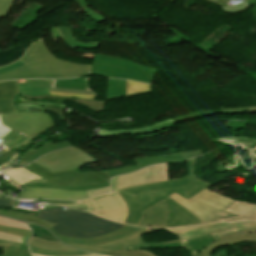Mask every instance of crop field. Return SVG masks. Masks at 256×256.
Instances as JSON below:
<instances>
[{"label":"crop field","mask_w":256,"mask_h":256,"mask_svg":"<svg viewBox=\"0 0 256 256\" xmlns=\"http://www.w3.org/2000/svg\"><path fill=\"white\" fill-rule=\"evenodd\" d=\"M205 189L206 187L184 176L169 181L138 185L120 190L118 192L124 198L128 208V215L124 223L138 226L143 218L144 211L165 200L169 210L165 224L148 227H177L203 224L204 222L198 219L191 211L173 201L174 199L172 200L169 196L176 193L189 200Z\"/></svg>","instance_id":"obj_1"},{"label":"crop field","mask_w":256,"mask_h":256,"mask_svg":"<svg viewBox=\"0 0 256 256\" xmlns=\"http://www.w3.org/2000/svg\"><path fill=\"white\" fill-rule=\"evenodd\" d=\"M0 215L9 217V218H16L22 221L41 224L46 228L50 229L51 232L56 237H58L62 242L72 247H76L85 251L98 252L106 255L149 256L147 254H144L136 250H129L128 247L180 242L179 239H175V240L164 241L159 243H145V241L140 235L146 233V229L148 228H136V227H130V226H126L122 229H119L117 231H114L109 234L96 237V238H88V239L70 238V237L58 236L59 234L57 235V233L51 228L55 224L40 218L19 215L15 213L4 212V211H0Z\"/></svg>","instance_id":"obj_2"},{"label":"crop field","mask_w":256,"mask_h":256,"mask_svg":"<svg viewBox=\"0 0 256 256\" xmlns=\"http://www.w3.org/2000/svg\"><path fill=\"white\" fill-rule=\"evenodd\" d=\"M20 59L29 65L1 75L0 80L18 78H73L89 75L91 71V65L57 59L45 46L42 38L36 41Z\"/></svg>","instance_id":"obj_3"},{"label":"crop field","mask_w":256,"mask_h":256,"mask_svg":"<svg viewBox=\"0 0 256 256\" xmlns=\"http://www.w3.org/2000/svg\"><path fill=\"white\" fill-rule=\"evenodd\" d=\"M95 216L74 209L61 210L59 207L44 210L36 215L57 224L53 229L59 235L71 237H95L126 226Z\"/></svg>","instance_id":"obj_4"},{"label":"crop field","mask_w":256,"mask_h":256,"mask_svg":"<svg viewBox=\"0 0 256 256\" xmlns=\"http://www.w3.org/2000/svg\"><path fill=\"white\" fill-rule=\"evenodd\" d=\"M170 197L191 210L205 223L220 221L225 218L238 217V215L226 211L236 202L235 200L216 194L208 189L189 201L175 194Z\"/></svg>","instance_id":"obj_5"},{"label":"crop field","mask_w":256,"mask_h":256,"mask_svg":"<svg viewBox=\"0 0 256 256\" xmlns=\"http://www.w3.org/2000/svg\"><path fill=\"white\" fill-rule=\"evenodd\" d=\"M157 70L128 60L95 55L91 74L151 83Z\"/></svg>","instance_id":"obj_6"},{"label":"crop field","mask_w":256,"mask_h":256,"mask_svg":"<svg viewBox=\"0 0 256 256\" xmlns=\"http://www.w3.org/2000/svg\"><path fill=\"white\" fill-rule=\"evenodd\" d=\"M84 203L68 204L64 206L82 208L87 207V210L101 217L123 223L127 208L118 192L95 196L83 201ZM62 205V204H59Z\"/></svg>","instance_id":"obj_7"},{"label":"crop field","mask_w":256,"mask_h":256,"mask_svg":"<svg viewBox=\"0 0 256 256\" xmlns=\"http://www.w3.org/2000/svg\"><path fill=\"white\" fill-rule=\"evenodd\" d=\"M25 168L39 174L41 177L45 179V181H29V182H50L61 184L65 186H79V185H87L99 182H107L110 180L105 171L102 172H85V173H77L74 169L52 173L34 163H31ZM24 186V185H23ZM22 186V187H23Z\"/></svg>","instance_id":"obj_8"},{"label":"crop field","mask_w":256,"mask_h":256,"mask_svg":"<svg viewBox=\"0 0 256 256\" xmlns=\"http://www.w3.org/2000/svg\"><path fill=\"white\" fill-rule=\"evenodd\" d=\"M179 236L181 241L216 233L221 237L232 236L240 233L256 232V221L236 223H212L201 226L167 229Z\"/></svg>","instance_id":"obj_9"},{"label":"crop field","mask_w":256,"mask_h":256,"mask_svg":"<svg viewBox=\"0 0 256 256\" xmlns=\"http://www.w3.org/2000/svg\"><path fill=\"white\" fill-rule=\"evenodd\" d=\"M97 162L92 156L84 151L70 147L61 151L45 155L34 163L43 166L53 172L63 171L74 168L79 172L80 166Z\"/></svg>","instance_id":"obj_10"},{"label":"crop field","mask_w":256,"mask_h":256,"mask_svg":"<svg viewBox=\"0 0 256 256\" xmlns=\"http://www.w3.org/2000/svg\"><path fill=\"white\" fill-rule=\"evenodd\" d=\"M1 116L3 124L33 139L46 129L53 127V121L46 113L31 114L22 112Z\"/></svg>","instance_id":"obj_11"},{"label":"crop field","mask_w":256,"mask_h":256,"mask_svg":"<svg viewBox=\"0 0 256 256\" xmlns=\"http://www.w3.org/2000/svg\"><path fill=\"white\" fill-rule=\"evenodd\" d=\"M168 165L159 164L146 167L136 173L112 178V191L132 185L168 180Z\"/></svg>","instance_id":"obj_12"},{"label":"crop field","mask_w":256,"mask_h":256,"mask_svg":"<svg viewBox=\"0 0 256 256\" xmlns=\"http://www.w3.org/2000/svg\"><path fill=\"white\" fill-rule=\"evenodd\" d=\"M202 154L203 153L201 150H196V151H189V152L166 155V156L139 158V159H134L137 164L136 166H128L124 168H117L114 170H106V172L110 176V178H112L116 175L129 173V172L138 170L144 166H149L151 164L165 163V162H182L191 157L199 156Z\"/></svg>","instance_id":"obj_13"},{"label":"crop field","mask_w":256,"mask_h":256,"mask_svg":"<svg viewBox=\"0 0 256 256\" xmlns=\"http://www.w3.org/2000/svg\"><path fill=\"white\" fill-rule=\"evenodd\" d=\"M18 198L77 200L87 198L85 191H68L53 188L21 189Z\"/></svg>","instance_id":"obj_14"},{"label":"crop field","mask_w":256,"mask_h":256,"mask_svg":"<svg viewBox=\"0 0 256 256\" xmlns=\"http://www.w3.org/2000/svg\"><path fill=\"white\" fill-rule=\"evenodd\" d=\"M20 94L15 96L13 101V104L17 108L18 112L28 111L31 113H39L50 111L56 113L62 121H66L64 114L65 106L63 104L41 103L33 100H28L22 98Z\"/></svg>","instance_id":"obj_15"},{"label":"crop field","mask_w":256,"mask_h":256,"mask_svg":"<svg viewBox=\"0 0 256 256\" xmlns=\"http://www.w3.org/2000/svg\"><path fill=\"white\" fill-rule=\"evenodd\" d=\"M17 81L0 82V114H8L17 112L12 101L18 94Z\"/></svg>","instance_id":"obj_16"},{"label":"crop field","mask_w":256,"mask_h":256,"mask_svg":"<svg viewBox=\"0 0 256 256\" xmlns=\"http://www.w3.org/2000/svg\"><path fill=\"white\" fill-rule=\"evenodd\" d=\"M174 126L172 118L157 122L151 126L134 129V130H98L99 135H138L164 131Z\"/></svg>","instance_id":"obj_17"},{"label":"crop field","mask_w":256,"mask_h":256,"mask_svg":"<svg viewBox=\"0 0 256 256\" xmlns=\"http://www.w3.org/2000/svg\"><path fill=\"white\" fill-rule=\"evenodd\" d=\"M71 144L69 143L68 140L63 141V142H58L56 144H53L51 142H46L44 143L39 149L34 150V149H29L27 153L22 157V159L15 165V166H21L30 163L31 161L37 159L41 155L51 152V151H56L65 147H69Z\"/></svg>","instance_id":"obj_18"},{"label":"crop field","mask_w":256,"mask_h":256,"mask_svg":"<svg viewBox=\"0 0 256 256\" xmlns=\"http://www.w3.org/2000/svg\"><path fill=\"white\" fill-rule=\"evenodd\" d=\"M242 242H256V233L240 234L232 237L222 238L214 241L211 245L192 256H210L211 251L224 244H235Z\"/></svg>","instance_id":"obj_19"},{"label":"crop field","mask_w":256,"mask_h":256,"mask_svg":"<svg viewBox=\"0 0 256 256\" xmlns=\"http://www.w3.org/2000/svg\"><path fill=\"white\" fill-rule=\"evenodd\" d=\"M167 212L166 203L163 201L144 212L145 216L139 226L163 224L167 217Z\"/></svg>","instance_id":"obj_20"},{"label":"crop field","mask_w":256,"mask_h":256,"mask_svg":"<svg viewBox=\"0 0 256 256\" xmlns=\"http://www.w3.org/2000/svg\"><path fill=\"white\" fill-rule=\"evenodd\" d=\"M21 96H23L25 98L41 101V102L64 103V102L56 101L55 99L73 100L77 103L86 105L87 107L93 109L95 112H104L105 101L65 98V97H56V96H24V95H21Z\"/></svg>","instance_id":"obj_21"},{"label":"crop field","mask_w":256,"mask_h":256,"mask_svg":"<svg viewBox=\"0 0 256 256\" xmlns=\"http://www.w3.org/2000/svg\"><path fill=\"white\" fill-rule=\"evenodd\" d=\"M228 211L239 214L243 217L225 219L221 221L256 220V205L237 201Z\"/></svg>","instance_id":"obj_22"},{"label":"crop field","mask_w":256,"mask_h":256,"mask_svg":"<svg viewBox=\"0 0 256 256\" xmlns=\"http://www.w3.org/2000/svg\"><path fill=\"white\" fill-rule=\"evenodd\" d=\"M31 232L27 230L15 229L0 226V239L12 242L23 243L30 237Z\"/></svg>","instance_id":"obj_23"},{"label":"crop field","mask_w":256,"mask_h":256,"mask_svg":"<svg viewBox=\"0 0 256 256\" xmlns=\"http://www.w3.org/2000/svg\"><path fill=\"white\" fill-rule=\"evenodd\" d=\"M2 173L7 175L8 177L12 178L13 180H15L21 186L29 180H44L40 176L22 168V167L9 169Z\"/></svg>","instance_id":"obj_24"},{"label":"crop field","mask_w":256,"mask_h":256,"mask_svg":"<svg viewBox=\"0 0 256 256\" xmlns=\"http://www.w3.org/2000/svg\"><path fill=\"white\" fill-rule=\"evenodd\" d=\"M89 80L90 78L51 80V87L91 90Z\"/></svg>","instance_id":"obj_25"},{"label":"crop field","mask_w":256,"mask_h":256,"mask_svg":"<svg viewBox=\"0 0 256 256\" xmlns=\"http://www.w3.org/2000/svg\"><path fill=\"white\" fill-rule=\"evenodd\" d=\"M19 91L25 95H48L50 83H18Z\"/></svg>","instance_id":"obj_26"},{"label":"crop field","mask_w":256,"mask_h":256,"mask_svg":"<svg viewBox=\"0 0 256 256\" xmlns=\"http://www.w3.org/2000/svg\"><path fill=\"white\" fill-rule=\"evenodd\" d=\"M126 80L108 79L105 100L124 97Z\"/></svg>","instance_id":"obj_27"},{"label":"crop field","mask_w":256,"mask_h":256,"mask_svg":"<svg viewBox=\"0 0 256 256\" xmlns=\"http://www.w3.org/2000/svg\"><path fill=\"white\" fill-rule=\"evenodd\" d=\"M217 239L219 238L214 233L211 235L184 241L183 244L193 254L202 250L205 246H207L208 244L212 243L214 240Z\"/></svg>","instance_id":"obj_28"},{"label":"crop field","mask_w":256,"mask_h":256,"mask_svg":"<svg viewBox=\"0 0 256 256\" xmlns=\"http://www.w3.org/2000/svg\"><path fill=\"white\" fill-rule=\"evenodd\" d=\"M26 49L27 46L19 43L7 51L0 52V66H4L16 61L21 55H23Z\"/></svg>","instance_id":"obj_29"},{"label":"crop field","mask_w":256,"mask_h":256,"mask_svg":"<svg viewBox=\"0 0 256 256\" xmlns=\"http://www.w3.org/2000/svg\"><path fill=\"white\" fill-rule=\"evenodd\" d=\"M29 244L37 247V248H43V249H50V250H56V251H73L77 249L70 248L61 242H51V241H46L43 239H39L35 236H32Z\"/></svg>","instance_id":"obj_30"},{"label":"crop field","mask_w":256,"mask_h":256,"mask_svg":"<svg viewBox=\"0 0 256 256\" xmlns=\"http://www.w3.org/2000/svg\"><path fill=\"white\" fill-rule=\"evenodd\" d=\"M107 186H109V182L87 185V186H79V187H64V186L49 184V183H28V184H25V186L23 188H26V187H53V188H61V189H69V190H90V189L102 188V187H107Z\"/></svg>","instance_id":"obj_31"},{"label":"crop field","mask_w":256,"mask_h":256,"mask_svg":"<svg viewBox=\"0 0 256 256\" xmlns=\"http://www.w3.org/2000/svg\"><path fill=\"white\" fill-rule=\"evenodd\" d=\"M60 33L65 43L70 47L97 48L98 44H81L76 41L72 34V29L68 27H59Z\"/></svg>","instance_id":"obj_32"},{"label":"crop field","mask_w":256,"mask_h":256,"mask_svg":"<svg viewBox=\"0 0 256 256\" xmlns=\"http://www.w3.org/2000/svg\"><path fill=\"white\" fill-rule=\"evenodd\" d=\"M152 92L151 84L139 83L127 80L126 95L130 97L141 93Z\"/></svg>","instance_id":"obj_33"},{"label":"crop field","mask_w":256,"mask_h":256,"mask_svg":"<svg viewBox=\"0 0 256 256\" xmlns=\"http://www.w3.org/2000/svg\"><path fill=\"white\" fill-rule=\"evenodd\" d=\"M78 5L84 10V12L97 24L103 23L106 19L103 15L89 8L85 0H75Z\"/></svg>","instance_id":"obj_34"},{"label":"crop field","mask_w":256,"mask_h":256,"mask_svg":"<svg viewBox=\"0 0 256 256\" xmlns=\"http://www.w3.org/2000/svg\"><path fill=\"white\" fill-rule=\"evenodd\" d=\"M30 250L33 252H37L44 255H52V256H75V255H84V254H90L85 251H73V252H56V251H49V250H42L37 249L30 246Z\"/></svg>","instance_id":"obj_35"},{"label":"crop field","mask_w":256,"mask_h":256,"mask_svg":"<svg viewBox=\"0 0 256 256\" xmlns=\"http://www.w3.org/2000/svg\"><path fill=\"white\" fill-rule=\"evenodd\" d=\"M28 224L31 227L34 235H36L40 238L47 239V240L59 241L47 229H45L39 225H34V224H30V223H28Z\"/></svg>","instance_id":"obj_36"},{"label":"crop field","mask_w":256,"mask_h":256,"mask_svg":"<svg viewBox=\"0 0 256 256\" xmlns=\"http://www.w3.org/2000/svg\"><path fill=\"white\" fill-rule=\"evenodd\" d=\"M211 115H215L214 110L207 111V112H196V113H192V114H188V115H182V116L174 117L173 120L175 123H178V122L189 120V119H194V118L204 117V116H211Z\"/></svg>","instance_id":"obj_37"},{"label":"crop field","mask_w":256,"mask_h":256,"mask_svg":"<svg viewBox=\"0 0 256 256\" xmlns=\"http://www.w3.org/2000/svg\"><path fill=\"white\" fill-rule=\"evenodd\" d=\"M0 225H5V226H10V227H16V228H22V229H28L27 224L20 222V221H16L13 219H8V218H2L0 217Z\"/></svg>","instance_id":"obj_38"},{"label":"crop field","mask_w":256,"mask_h":256,"mask_svg":"<svg viewBox=\"0 0 256 256\" xmlns=\"http://www.w3.org/2000/svg\"><path fill=\"white\" fill-rule=\"evenodd\" d=\"M25 65H27V64L19 59L18 61H16L13 64H10V65H8L6 67L0 68V75L3 74V73L9 72V71L18 69L20 67H23Z\"/></svg>","instance_id":"obj_39"},{"label":"crop field","mask_w":256,"mask_h":256,"mask_svg":"<svg viewBox=\"0 0 256 256\" xmlns=\"http://www.w3.org/2000/svg\"><path fill=\"white\" fill-rule=\"evenodd\" d=\"M49 95L86 98V99H95V97H96V95L70 94V93H60V92H50Z\"/></svg>","instance_id":"obj_40"},{"label":"crop field","mask_w":256,"mask_h":256,"mask_svg":"<svg viewBox=\"0 0 256 256\" xmlns=\"http://www.w3.org/2000/svg\"><path fill=\"white\" fill-rule=\"evenodd\" d=\"M19 245L3 243V256H14Z\"/></svg>","instance_id":"obj_41"},{"label":"crop field","mask_w":256,"mask_h":256,"mask_svg":"<svg viewBox=\"0 0 256 256\" xmlns=\"http://www.w3.org/2000/svg\"><path fill=\"white\" fill-rule=\"evenodd\" d=\"M13 0H0V16H5Z\"/></svg>","instance_id":"obj_42"},{"label":"crop field","mask_w":256,"mask_h":256,"mask_svg":"<svg viewBox=\"0 0 256 256\" xmlns=\"http://www.w3.org/2000/svg\"><path fill=\"white\" fill-rule=\"evenodd\" d=\"M249 108H237V109H218L217 113H248Z\"/></svg>","instance_id":"obj_43"},{"label":"crop field","mask_w":256,"mask_h":256,"mask_svg":"<svg viewBox=\"0 0 256 256\" xmlns=\"http://www.w3.org/2000/svg\"><path fill=\"white\" fill-rule=\"evenodd\" d=\"M31 140H32V139L27 136L25 139H23V140H21L20 142L16 143L14 146L9 147V148H7L6 150L0 152V154H3V153H5V152H7V151H9V150H11V149H13V148H15V149L17 150V149H19L21 146L27 144V143H28L29 141H31Z\"/></svg>","instance_id":"obj_44"},{"label":"crop field","mask_w":256,"mask_h":256,"mask_svg":"<svg viewBox=\"0 0 256 256\" xmlns=\"http://www.w3.org/2000/svg\"><path fill=\"white\" fill-rule=\"evenodd\" d=\"M222 8L226 11L237 13V12L244 10L246 8V5L244 3H242V4L236 5V6H229V7H222Z\"/></svg>","instance_id":"obj_45"},{"label":"crop field","mask_w":256,"mask_h":256,"mask_svg":"<svg viewBox=\"0 0 256 256\" xmlns=\"http://www.w3.org/2000/svg\"><path fill=\"white\" fill-rule=\"evenodd\" d=\"M175 247H183L182 243L179 244H167V245H159V246H143V247H134L130 249L136 248H175Z\"/></svg>","instance_id":"obj_46"},{"label":"crop field","mask_w":256,"mask_h":256,"mask_svg":"<svg viewBox=\"0 0 256 256\" xmlns=\"http://www.w3.org/2000/svg\"><path fill=\"white\" fill-rule=\"evenodd\" d=\"M51 91L70 92V93H84V94H96L94 91L69 90V89H57V88H51Z\"/></svg>","instance_id":"obj_47"},{"label":"crop field","mask_w":256,"mask_h":256,"mask_svg":"<svg viewBox=\"0 0 256 256\" xmlns=\"http://www.w3.org/2000/svg\"><path fill=\"white\" fill-rule=\"evenodd\" d=\"M15 256H31L27 249V242L19 247Z\"/></svg>","instance_id":"obj_48"},{"label":"crop field","mask_w":256,"mask_h":256,"mask_svg":"<svg viewBox=\"0 0 256 256\" xmlns=\"http://www.w3.org/2000/svg\"><path fill=\"white\" fill-rule=\"evenodd\" d=\"M109 191H110V187L86 191V192H87V196L89 197V196L98 195V194H102Z\"/></svg>","instance_id":"obj_49"},{"label":"crop field","mask_w":256,"mask_h":256,"mask_svg":"<svg viewBox=\"0 0 256 256\" xmlns=\"http://www.w3.org/2000/svg\"><path fill=\"white\" fill-rule=\"evenodd\" d=\"M12 129L8 128L7 126L2 124L1 117H0V139L9 134Z\"/></svg>","instance_id":"obj_50"},{"label":"crop field","mask_w":256,"mask_h":256,"mask_svg":"<svg viewBox=\"0 0 256 256\" xmlns=\"http://www.w3.org/2000/svg\"><path fill=\"white\" fill-rule=\"evenodd\" d=\"M25 137H26V135L20 134V135L14 137L12 140H10V141L4 143L3 145H4L5 147H9V146L15 144L16 142L20 141L21 139H23V138H25Z\"/></svg>","instance_id":"obj_51"},{"label":"crop field","mask_w":256,"mask_h":256,"mask_svg":"<svg viewBox=\"0 0 256 256\" xmlns=\"http://www.w3.org/2000/svg\"><path fill=\"white\" fill-rule=\"evenodd\" d=\"M11 203H12V200L0 198V206H1V207H7V208H9L10 205H11Z\"/></svg>","instance_id":"obj_52"},{"label":"crop field","mask_w":256,"mask_h":256,"mask_svg":"<svg viewBox=\"0 0 256 256\" xmlns=\"http://www.w3.org/2000/svg\"><path fill=\"white\" fill-rule=\"evenodd\" d=\"M19 133H17V132H15V131H13L12 130V132L9 134V135H7L6 137H4V138H2L4 141H8V140H10V139H12L14 136H16V135H18Z\"/></svg>","instance_id":"obj_53"},{"label":"crop field","mask_w":256,"mask_h":256,"mask_svg":"<svg viewBox=\"0 0 256 256\" xmlns=\"http://www.w3.org/2000/svg\"><path fill=\"white\" fill-rule=\"evenodd\" d=\"M194 158L187 161L189 174L192 175Z\"/></svg>","instance_id":"obj_54"},{"label":"crop field","mask_w":256,"mask_h":256,"mask_svg":"<svg viewBox=\"0 0 256 256\" xmlns=\"http://www.w3.org/2000/svg\"><path fill=\"white\" fill-rule=\"evenodd\" d=\"M19 82H50V80H18Z\"/></svg>","instance_id":"obj_55"},{"label":"crop field","mask_w":256,"mask_h":256,"mask_svg":"<svg viewBox=\"0 0 256 256\" xmlns=\"http://www.w3.org/2000/svg\"><path fill=\"white\" fill-rule=\"evenodd\" d=\"M35 201H42V200H35ZM47 203H62V204H68V203H75V202H61V201H43Z\"/></svg>","instance_id":"obj_56"},{"label":"crop field","mask_w":256,"mask_h":256,"mask_svg":"<svg viewBox=\"0 0 256 256\" xmlns=\"http://www.w3.org/2000/svg\"><path fill=\"white\" fill-rule=\"evenodd\" d=\"M11 185L15 186L17 189H20L21 186H19L16 182H14L12 179L7 180Z\"/></svg>","instance_id":"obj_57"},{"label":"crop field","mask_w":256,"mask_h":256,"mask_svg":"<svg viewBox=\"0 0 256 256\" xmlns=\"http://www.w3.org/2000/svg\"><path fill=\"white\" fill-rule=\"evenodd\" d=\"M187 176L190 177V178H192V179H194V180H196L197 182H199V183L205 185L207 188L210 186L209 184H207V183H205V182H203V181H200V180L195 179V177H193V176H190V175H187Z\"/></svg>","instance_id":"obj_58"},{"label":"crop field","mask_w":256,"mask_h":256,"mask_svg":"<svg viewBox=\"0 0 256 256\" xmlns=\"http://www.w3.org/2000/svg\"><path fill=\"white\" fill-rule=\"evenodd\" d=\"M32 253V252H31ZM33 256H44V255H40V254H36V253H32ZM84 256H102V255H99V254H95V253H92L90 255H84Z\"/></svg>","instance_id":"obj_59"},{"label":"crop field","mask_w":256,"mask_h":256,"mask_svg":"<svg viewBox=\"0 0 256 256\" xmlns=\"http://www.w3.org/2000/svg\"><path fill=\"white\" fill-rule=\"evenodd\" d=\"M136 250L142 251V252L147 253V254H149L151 256H157V255L151 253L150 251H146V250H142V249H136Z\"/></svg>","instance_id":"obj_60"},{"label":"crop field","mask_w":256,"mask_h":256,"mask_svg":"<svg viewBox=\"0 0 256 256\" xmlns=\"http://www.w3.org/2000/svg\"><path fill=\"white\" fill-rule=\"evenodd\" d=\"M249 113H256V108H250Z\"/></svg>","instance_id":"obj_61"},{"label":"crop field","mask_w":256,"mask_h":256,"mask_svg":"<svg viewBox=\"0 0 256 256\" xmlns=\"http://www.w3.org/2000/svg\"><path fill=\"white\" fill-rule=\"evenodd\" d=\"M237 68H239V67H237ZM240 70H242V71H244V72H246L245 70H243V69H241V68H239ZM247 73V72H246ZM245 73V74H246ZM249 76H251L254 80H256V78L254 77V76H252V75H250L249 73H247Z\"/></svg>","instance_id":"obj_62"},{"label":"crop field","mask_w":256,"mask_h":256,"mask_svg":"<svg viewBox=\"0 0 256 256\" xmlns=\"http://www.w3.org/2000/svg\"><path fill=\"white\" fill-rule=\"evenodd\" d=\"M0 242L3 243V242H6V241H1V240H0ZM7 243H12V242H7ZM14 244H18V243H14Z\"/></svg>","instance_id":"obj_63"},{"label":"crop field","mask_w":256,"mask_h":256,"mask_svg":"<svg viewBox=\"0 0 256 256\" xmlns=\"http://www.w3.org/2000/svg\"><path fill=\"white\" fill-rule=\"evenodd\" d=\"M209 1L216 3L218 0H209Z\"/></svg>","instance_id":"obj_64"},{"label":"crop field","mask_w":256,"mask_h":256,"mask_svg":"<svg viewBox=\"0 0 256 256\" xmlns=\"http://www.w3.org/2000/svg\"><path fill=\"white\" fill-rule=\"evenodd\" d=\"M0 247H2V244H0Z\"/></svg>","instance_id":"obj_65"},{"label":"crop field","mask_w":256,"mask_h":256,"mask_svg":"<svg viewBox=\"0 0 256 256\" xmlns=\"http://www.w3.org/2000/svg\"><path fill=\"white\" fill-rule=\"evenodd\" d=\"M244 1H247V0H244Z\"/></svg>","instance_id":"obj_66"}]
</instances>
